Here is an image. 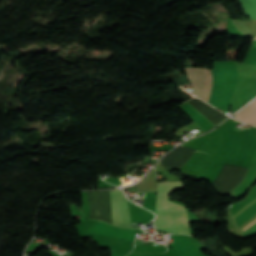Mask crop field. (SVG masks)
<instances>
[{
  "instance_id": "1",
  "label": "crop field",
  "mask_w": 256,
  "mask_h": 256,
  "mask_svg": "<svg viewBox=\"0 0 256 256\" xmlns=\"http://www.w3.org/2000/svg\"><path fill=\"white\" fill-rule=\"evenodd\" d=\"M158 184L154 220L155 227L174 234H190L187 213L183 205L168 201L169 195L185 187L181 181L162 182Z\"/></svg>"
},
{
  "instance_id": "2",
  "label": "crop field",
  "mask_w": 256,
  "mask_h": 256,
  "mask_svg": "<svg viewBox=\"0 0 256 256\" xmlns=\"http://www.w3.org/2000/svg\"><path fill=\"white\" fill-rule=\"evenodd\" d=\"M111 223L122 227H132L127 201L121 190L110 191Z\"/></svg>"
},
{
  "instance_id": "3",
  "label": "crop field",
  "mask_w": 256,
  "mask_h": 256,
  "mask_svg": "<svg viewBox=\"0 0 256 256\" xmlns=\"http://www.w3.org/2000/svg\"><path fill=\"white\" fill-rule=\"evenodd\" d=\"M234 117L251 125H256V99L242 111L235 114Z\"/></svg>"
},
{
  "instance_id": "4",
  "label": "crop field",
  "mask_w": 256,
  "mask_h": 256,
  "mask_svg": "<svg viewBox=\"0 0 256 256\" xmlns=\"http://www.w3.org/2000/svg\"><path fill=\"white\" fill-rule=\"evenodd\" d=\"M254 222H256V220L253 221V222H251V223H250L249 225H247L245 228L241 229V231H243L244 229H246L248 226H250V225L253 224Z\"/></svg>"
}]
</instances>
